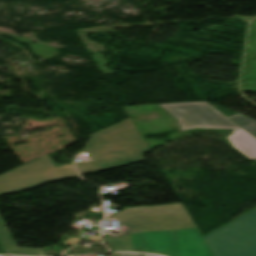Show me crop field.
Wrapping results in <instances>:
<instances>
[{
	"instance_id": "8",
	"label": "crop field",
	"mask_w": 256,
	"mask_h": 256,
	"mask_svg": "<svg viewBox=\"0 0 256 256\" xmlns=\"http://www.w3.org/2000/svg\"><path fill=\"white\" fill-rule=\"evenodd\" d=\"M115 256H144L143 254L114 253Z\"/></svg>"
},
{
	"instance_id": "7",
	"label": "crop field",
	"mask_w": 256,
	"mask_h": 256,
	"mask_svg": "<svg viewBox=\"0 0 256 256\" xmlns=\"http://www.w3.org/2000/svg\"><path fill=\"white\" fill-rule=\"evenodd\" d=\"M229 118L256 137V125H255L256 121L255 120L241 114L234 115Z\"/></svg>"
},
{
	"instance_id": "6",
	"label": "crop field",
	"mask_w": 256,
	"mask_h": 256,
	"mask_svg": "<svg viewBox=\"0 0 256 256\" xmlns=\"http://www.w3.org/2000/svg\"><path fill=\"white\" fill-rule=\"evenodd\" d=\"M0 242L7 254L44 256L42 250L16 248L1 219H0Z\"/></svg>"
},
{
	"instance_id": "1",
	"label": "crop field",
	"mask_w": 256,
	"mask_h": 256,
	"mask_svg": "<svg viewBox=\"0 0 256 256\" xmlns=\"http://www.w3.org/2000/svg\"><path fill=\"white\" fill-rule=\"evenodd\" d=\"M133 233L134 251L167 256H214L182 204L127 208L113 216Z\"/></svg>"
},
{
	"instance_id": "2",
	"label": "crop field",
	"mask_w": 256,
	"mask_h": 256,
	"mask_svg": "<svg viewBox=\"0 0 256 256\" xmlns=\"http://www.w3.org/2000/svg\"><path fill=\"white\" fill-rule=\"evenodd\" d=\"M149 149L141 139L134 123L127 119L104 131L93 134L84 152L96 161L75 167L80 172L89 173L129 163L144 161L142 153Z\"/></svg>"
},
{
	"instance_id": "3",
	"label": "crop field",
	"mask_w": 256,
	"mask_h": 256,
	"mask_svg": "<svg viewBox=\"0 0 256 256\" xmlns=\"http://www.w3.org/2000/svg\"><path fill=\"white\" fill-rule=\"evenodd\" d=\"M177 118L181 130L192 128L234 129L230 143L251 160L256 159V139L206 102L160 105Z\"/></svg>"
},
{
	"instance_id": "4",
	"label": "crop field",
	"mask_w": 256,
	"mask_h": 256,
	"mask_svg": "<svg viewBox=\"0 0 256 256\" xmlns=\"http://www.w3.org/2000/svg\"><path fill=\"white\" fill-rule=\"evenodd\" d=\"M203 238L215 256H256V209Z\"/></svg>"
},
{
	"instance_id": "5",
	"label": "crop field",
	"mask_w": 256,
	"mask_h": 256,
	"mask_svg": "<svg viewBox=\"0 0 256 256\" xmlns=\"http://www.w3.org/2000/svg\"><path fill=\"white\" fill-rule=\"evenodd\" d=\"M78 175L73 164L55 167L48 156L0 176V194L23 190L46 181Z\"/></svg>"
},
{
	"instance_id": "9",
	"label": "crop field",
	"mask_w": 256,
	"mask_h": 256,
	"mask_svg": "<svg viewBox=\"0 0 256 256\" xmlns=\"http://www.w3.org/2000/svg\"><path fill=\"white\" fill-rule=\"evenodd\" d=\"M145 255V254H144ZM145 256H156V255H145Z\"/></svg>"
}]
</instances>
